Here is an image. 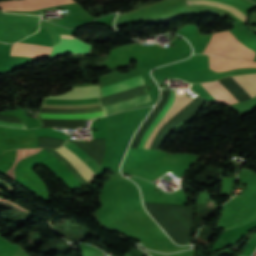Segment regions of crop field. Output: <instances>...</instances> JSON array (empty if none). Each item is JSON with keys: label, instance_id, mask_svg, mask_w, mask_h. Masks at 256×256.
<instances>
[{"label": "crop field", "instance_id": "obj_10", "mask_svg": "<svg viewBox=\"0 0 256 256\" xmlns=\"http://www.w3.org/2000/svg\"><path fill=\"white\" fill-rule=\"evenodd\" d=\"M187 5H191V4H204V5H209V6H214V7H218V8H222L225 10H229V12L236 17L239 20H242L245 22V18H246V14L242 13L241 11L230 7V6H226V5H222V4H218V3H214V2H210V1H204V0H189L186 1Z\"/></svg>", "mask_w": 256, "mask_h": 256}, {"label": "crop field", "instance_id": "obj_6", "mask_svg": "<svg viewBox=\"0 0 256 256\" xmlns=\"http://www.w3.org/2000/svg\"><path fill=\"white\" fill-rule=\"evenodd\" d=\"M232 78L243 90H245L250 95L251 98L256 96V74L234 76ZM201 85L218 102L222 104L228 105L236 102L234 98L218 83V81Z\"/></svg>", "mask_w": 256, "mask_h": 256}, {"label": "crop field", "instance_id": "obj_9", "mask_svg": "<svg viewBox=\"0 0 256 256\" xmlns=\"http://www.w3.org/2000/svg\"><path fill=\"white\" fill-rule=\"evenodd\" d=\"M242 67H256V62H248L242 59H226L222 57L211 56L210 68L215 71H227Z\"/></svg>", "mask_w": 256, "mask_h": 256}, {"label": "crop field", "instance_id": "obj_4", "mask_svg": "<svg viewBox=\"0 0 256 256\" xmlns=\"http://www.w3.org/2000/svg\"><path fill=\"white\" fill-rule=\"evenodd\" d=\"M144 85L145 84H144L141 76L130 78V79L118 82V83H114V84L102 87L101 88V97L110 95V94H114L117 92L129 90L132 88L144 86ZM150 101H151V99H150L149 94H146V95L114 102L111 104L103 105L102 107H103L105 113H108V112H112V111H117V110L129 108V107H133V106L140 105V104L150 102Z\"/></svg>", "mask_w": 256, "mask_h": 256}, {"label": "crop field", "instance_id": "obj_8", "mask_svg": "<svg viewBox=\"0 0 256 256\" xmlns=\"http://www.w3.org/2000/svg\"><path fill=\"white\" fill-rule=\"evenodd\" d=\"M71 3L72 0H15L0 2V6L3 10L33 11Z\"/></svg>", "mask_w": 256, "mask_h": 256}, {"label": "crop field", "instance_id": "obj_11", "mask_svg": "<svg viewBox=\"0 0 256 256\" xmlns=\"http://www.w3.org/2000/svg\"><path fill=\"white\" fill-rule=\"evenodd\" d=\"M0 125L10 126V127H22V128H25L24 125L4 123V122H0Z\"/></svg>", "mask_w": 256, "mask_h": 256}, {"label": "crop field", "instance_id": "obj_12", "mask_svg": "<svg viewBox=\"0 0 256 256\" xmlns=\"http://www.w3.org/2000/svg\"><path fill=\"white\" fill-rule=\"evenodd\" d=\"M157 179H158V178H157ZM157 179H156V180H157Z\"/></svg>", "mask_w": 256, "mask_h": 256}, {"label": "crop field", "instance_id": "obj_2", "mask_svg": "<svg viewBox=\"0 0 256 256\" xmlns=\"http://www.w3.org/2000/svg\"><path fill=\"white\" fill-rule=\"evenodd\" d=\"M93 46L79 41L72 36H61L60 43L53 45L50 58L57 57L65 53H78L88 55ZM51 47L17 42L12 44L10 55L28 56L38 58L50 53Z\"/></svg>", "mask_w": 256, "mask_h": 256}, {"label": "crop field", "instance_id": "obj_5", "mask_svg": "<svg viewBox=\"0 0 256 256\" xmlns=\"http://www.w3.org/2000/svg\"><path fill=\"white\" fill-rule=\"evenodd\" d=\"M207 54L253 60L255 52L241 44L231 33L224 32L215 34Z\"/></svg>", "mask_w": 256, "mask_h": 256}, {"label": "crop field", "instance_id": "obj_7", "mask_svg": "<svg viewBox=\"0 0 256 256\" xmlns=\"http://www.w3.org/2000/svg\"><path fill=\"white\" fill-rule=\"evenodd\" d=\"M65 147V146H64ZM63 146L56 149V151L61 154L65 159H67L72 166L77 170V172L89 183L92 176L95 175L82 161H80L74 154L68 151ZM48 152L52 153L55 157H57L61 162H63L68 170L85 186L88 183L75 171V169L71 166V164L66 161L62 156H60L53 149H45Z\"/></svg>", "mask_w": 256, "mask_h": 256}, {"label": "crop field", "instance_id": "obj_3", "mask_svg": "<svg viewBox=\"0 0 256 256\" xmlns=\"http://www.w3.org/2000/svg\"><path fill=\"white\" fill-rule=\"evenodd\" d=\"M193 99L171 92L169 101L142 138L138 148L150 149L160 129Z\"/></svg>", "mask_w": 256, "mask_h": 256}, {"label": "crop field", "instance_id": "obj_1", "mask_svg": "<svg viewBox=\"0 0 256 256\" xmlns=\"http://www.w3.org/2000/svg\"><path fill=\"white\" fill-rule=\"evenodd\" d=\"M99 97V86L91 87H76L70 91L60 95L46 97L49 99H89ZM103 110L102 107L90 108V109H75V110H52V109H41L44 113H90L95 111ZM42 118L45 119H93L95 117L103 116L104 112H96L90 114H43L40 113ZM42 122L45 125L67 127L70 129H75L76 127L84 126V120H45Z\"/></svg>", "mask_w": 256, "mask_h": 256}]
</instances>
